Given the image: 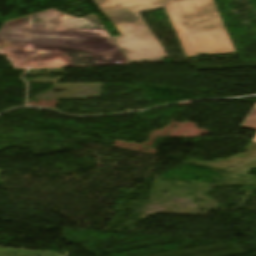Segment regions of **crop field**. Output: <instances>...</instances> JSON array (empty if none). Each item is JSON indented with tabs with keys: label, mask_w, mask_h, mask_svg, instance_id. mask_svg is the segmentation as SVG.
Masks as SVG:
<instances>
[{
	"label": "crop field",
	"mask_w": 256,
	"mask_h": 256,
	"mask_svg": "<svg viewBox=\"0 0 256 256\" xmlns=\"http://www.w3.org/2000/svg\"><path fill=\"white\" fill-rule=\"evenodd\" d=\"M0 50L18 67L127 63L95 15L47 12L5 22Z\"/></svg>",
	"instance_id": "crop-field-1"
},
{
	"label": "crop field",
	"mask_w": 256,
	"mask_h": 256,
	"mask_svg": "<svg viewBox=\"0 0 256 256\" xmlns=\"http://www.w3.org/2000/svg\"><path fill=\"white\" fill-rule=\"evenodd\" d=\"M119 30L113 38L129 62L163 61L167 54L139 12L165 6L187 56L236 52L213 0H93Z\"/></svg>",
	"instance_id": "crop-field-2"
},
{
	"label": "crop field",
	"mask_w": 256,
	"mask_h": 256,
	"mask_svg": "<svg viewBox=\"0 0 256 256\" xmlns=\"http://www.w3.org/2000/svg\"><path fill=\"white\" fill-rule=\"evenodd\" d=\"M242 128L254 129L256 130V103L253 106L252 110L244 120L243 124L241 125ZM256 142V136L253 139Z\"/></svg>",
	"instance_id": "crop-field-3"
}]
</instances>
